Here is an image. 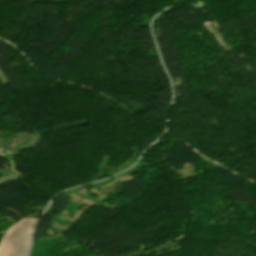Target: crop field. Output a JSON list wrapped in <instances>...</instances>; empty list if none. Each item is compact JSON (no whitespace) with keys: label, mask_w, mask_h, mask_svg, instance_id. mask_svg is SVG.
<instances>
[{"label":"crop field","mask_w":256,"mask_h":256,"mask_svg":"<svg viewBox=\"0 0 256 256\" xmlns=\"http://www.w3.org/2000/svg\"><path fill=\"white\" fill-rule=\"evenodd\" d=\"M35 220L24 218L14 223L0 242V256H24Z\"/></svg>","instance_id":"8a807250"}]
</instances>
